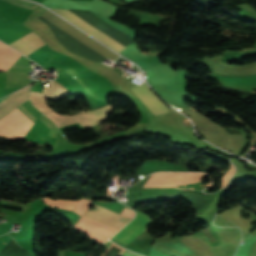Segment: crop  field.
Listing matches in <instances>:
<instances>
[{"mask_svg":"<svg viewBox=\"0 0 256 256\" xmlns=\"http://www.w3.org/2000/svg\"><path fill=\"white\" fill-rule=\"evenodd\" d=\"M91 205H94L95 209L88 210L85 216L111 225L118 229H120L134 217V212L126 208H124L121 214L118 215L102 206L93 203H91ZM85 216H83L81 220L73 226V228H76L86 233L89 237H91L95 242L100 245L118 231V229L116 228L110 227Z\"/></svg>","mask_w":256,"mask_h":256,"instance_id":"8a807250","label":"crop field"},{"mask_svg":"<svg viewBox=\"0 0 256 256\" xmlns=\"http://www.w3.org/2000/svg\"><path fill=\"white\" fill-rule=\"evenodd\" d=\"M33 104L38 107L42 112H44L55 124H68L74 123L76 120L84 128L92 126L94 124L100 123L105 120L106 115L111 112L113 106L106 105L94 111L77 114V115H59L53 112L46 104V100L43 97L30 98Z\"/></svg>","mask_w":256,"mask_h":256,"instance_id":"ac0d7876","label":"crop field"},{"mask_svg":"<svg viewBox=\"0 0 256 256\" xmlns=\"http://www.w3.org/2000/svg\"><path fill=\"white\" fill-rule=\"evenodd\" d=\"M206 174L203 173H157L152 174L145 187L173 186L184 183L198 182Z\"/></svg>","mask_w":256,"mask_h":256,"instance_id":"34b2d1b8","label":"crop field"},{"mask_svg":"<svg viewBox=\"0 0 256 256\" xmlns=\"http://www.w3.org/2000/svg\"><path fill=\"white\" fill-rule=\"evenodd\" d=\"M52 10L55 11L56 13L64 16L69 21H71L73 24L82 28L87 33H89L90 35L96 37L97 39H99L100 41H102L103 43H105L106 45H108L109 47H111L112 49L117 51L118 53L126 48L123 45L116 42L115 40L108 37L107 35H105L104 33L100 32L99 30H97L93 26L89 25L85 21L81 20L80 18H78L74 14L70 13L69 11H67L65 9H52Z\"/></svg>","mask_w":256,"mask_h":256,"instance_id":"412701ff","label":"crop field"},{"mask_svg":"<svg viewBox=\"0 0 256 256\" xmlns=\"http://www.w3.org/2000/svg\"><path fill=\"white\" fill-rule=\"evenodd\" d=\"M135 212V219L130 222L126 227H124L121 231H119L115 236H113V239L126 245L134 238H136L138 234L145 231V228L151 223L149 217L137 211Z\"/></svg>","mask_w":256,"mask_h":256,"instance_id":"f4fd0767","label":"crop field"},{"mask_svg":"<svg viewBox=\"0 0 256 256\" xmlns=\"http://www.w3.org/2000/svg\"><path fill=\"white\" fill-rule=\"evenodd\" d=\"M132 89L155 115L168 111L159 99L146 87L145 83Z\"/></svg>","mask_w":256,"mask_h":256,"instance_id":"dd49c442","label":"crop field"},{"mask_svg":"<svg viewBox=\"0 0 256 256\" xmlns=\"http://www.w3.org/2000/svg\"><path fill=\"white\" fill-rule=\"evenodd\" d=\"M17 109V108H16ZM14 110L13 112H11L10 114H8L7 116H5L4 118H2L0 120L1 123L12 127L24 134H26V132L29 130V128L35 123V121H33L32 119H30L29 117L25 116L24 114H22L21 112H19L18 110Z\"/></svg>","mask_w":256,"mask_h":256,"instance_id":"e52e79f7","label":"crop field"},{"mask_svg":"<svg viewBox=\"0 0 256 256\" xmlns=\"http://www.w3.org/2000/svg\"><path fill=\"white\" fill-rule=\"evenodd\" d=\"M18 41L36 49V50L41 48L42 46L46 45L44 43V41L37 34H35L33 31L28 33L27 35H25L24 37H22ZM18 41L12 43L10 46L16 48L17 51L25 54L26 56L31 54L32 52L36 51V50L18 42Z\"/></svg>","mask_w":256,"mask_h":256,"instance_id":"d8731c3e","label":"crop field"},{"mask_svg":"<svg viewBox=\"0 0 256 256\" xmlns=\"http://www.w3.org/2000/svg\"><path fill=\"white\" fill-rule=\"evenodd\" d=\"M30 86L10 95L0 103V118L15 109L17 106L29 99L28 90Z\"/></svg>","mask_w":256,"mask_h":256,"instance_id":"5a996713","label":"crop field"},{"mask_svg":"<svg viewBox=\"0 0 256 256\" xmlns=\"http://www.w3.org/2000/svg\"><path fill=\"white\" fill-rule=\"evenodd\" d=\"M20 56L21 55L0 42V58L12 65ZM2 59H0V71H7L11 65Z\"/></svg>","mask_w":256,"mask_h":256,"instance_id":"3316defc","label":"crop field"},{"mask_svg":"<svg viewBox=\"0 0 256 256\" xmlns=\"http://www.w3.org/2000/svg\"><path fill=\"white\" fill-rule=\"evenodd\" d=\"M197 212L201 211L208 202V197L191 191L184 192Z\"/></svg>","mask_w":256,"mask_h":256,"instance_id":"28ad6ade","label":"crop field"},{"mask_svg":"<svg viewBox=\"0 0 256 256\" xmlns=\"http://www.w3.org/2000/svg\"><path fill=\"white\" fill-rule=\"evenodd\" d=\"M67 94L68 93H66L61 87L50 82V84L43 89L42 96H44L48 99L51 97L56 100V99H58L64 95H67Z\"/></svg>","mask_w":256,"mask_h":256,"instance_id":"d1516ede","label":"crop field"},{"mask_svg":"<svg viewBox=\"0 0 256 256\" xmlns=\"http://www.w3.org/2000/svg\"><path fill=\"white\" fill-rule=\"evenodd\" d=\"M44 202L51 206L61 207L65 209L72 210V208L76 205L77 201H71V200H58V201H51L47 199L46 197L42 199Z\"/></svg>","mask_w":256,"mask_h":256,"instance_id":"22f410ed","label":"crop field"},{"mask_svg":"<svg viewBox=\"0 0 256 256\" xmlns=\"http://www.w3.org/2000/svg\"><path fill=\"white\" fill-rule=\"evenodd\" d=\"M91 201L89 200H85V199H81L78 201L75 209L73 211L77 212L78 214L82 215L85 213V211L88 209L89 204Z\"/></svg>","mask_w":256,"mask_h":256,"instance_id":"cbeb9de0","label":"crop field"},{"mask_svg":"<svg viewBox=\"0 0 256 256\" xmlns=\"http://www.w3.org/2000/svg\"><path fill=\"white\" fill-rule=\"evenodd\" d=\"M4 1L27 8V9H30V10H32L34 7L37 6V4L31 3L28 1H24V0H4Z\"/></svg>","mask_w":256,"mask_h":256,"instance_id":"5142ce71","label":"crop field"},{"mask_svg":"<svg viewBox=\"0 0 256 256\" xmlns=\"http://www.w3.org/2000/svg\"><path fill=\"white\" fill-rule=\"evenodd\" d=\"M233 172H234V166L231 164V168L228 170V172L223 177L221 188L227 185V182H228L229 178L231 177V175L233 174Z\"/></svg>","mask_w":256,"mask_h":256,"instance_id":"d9b57169","label":"crop field"},{"mask_svg":"<svg viewBox=\"0 0 256 256\" xmlns=\"http://www.w3.org/2000/svg\"><path fill=\"white\" fill-rule=\"evenodd\" d=\"M203 152L208 153V154H210V155H212V156L218 157V158H220V159H223V160H226V161L229 162V158H228V157L219 155V154H217L216 152H212V151H209V150H204Z\"/></svg>","mask_w":256,"mask_h":256,"instance_id":"733c2abd","label":"crop field"},{"mask_svg":"<svg viewBox=\"0 0 256 256\" xmlns=\"http://www.w3.org/2000/svg\"><path fill=\"white\" fill-rule=\"evenodd\" d=\"M65 256H85V253L72 252L65 250Z\"/></svg>","mask_w":256,"mask_h":256,"instance_id":"4a817a6b","label":"crop field"},{"mask_svg":"<svg viewBox=\"0 0 256 256\" xmlns=\"http://www.w3.org/2000/svg\"><path fill=\"white\" fill-rule=\"evenodd\" d=\"M111 243H112V242L107 241L102 247H104V248L107 249V248L111 245Z\"/></svg>","mask_w":256,"mask_h":256,"instance_id":"bc2a9ffb","label":"crop field"},{"mask_svg":"<svg viewBox=\"0 0 256 256\" xmlns=\"http://www.w3.org/2000/svg\"><path fill=\"white\" fill-rule=\"evenodd\" d=\"M55 82V81H54ZM57 83V82H56ZM59 84V83H57ZM60 85V84H59ZM61 86V85H60ZM62 87V86H61ZM65 91H67L64 87H62ZM68 92V91H67ZM69 94H71L70 92H68Z\"/></svg>","mask_w":256,"mask_h":256,"instance_id":"214f88e0","label":"crop field"}]
</instances>
